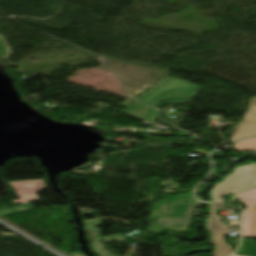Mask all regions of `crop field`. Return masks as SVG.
Instances as JSON below:
<instances>
[{
  "instance_id": "obj_1",
  "label": "crop field",
  "mask_w": 256,
  "mask_h": 256,
  "mask_svg": "<svg viewBox=\"0 0 256 256\" xmlns=\"http://www.w3.org/2000/svg\"><path fill=\"white\" fill-rule=\"evenodd\" d=\"M256 188V163L248 166L236 168L234 173L227 176L221 183L215 185L210 196L211 201H223L224 196L234 193L236 194Z\"/></svg>"
},
{
  "instance_id": "obj_4",
  "label": "crop field",
  "mask_w": 256,
  "mask_h": 256,
  "mask_svg": "<svg viewBox=\"0 0 256 256\" xmlns=\"http://www.w3.org/2000/svg\"><path fill=\"white\" fill-rule=\"evenodd\" d=\"M237 199L241 200L246 206L242 222V237L256 238V189L237 195Z\"/></svg>"
},
{
  "instance_id": "obj_2",
  "label": "crop field",
  "mask_w": 256,
  "mask_h": 256,
  "mask_svg": "<svg viewBox=\"0 0 256 256\" xmlns=\"http://www.w3.org/2000/svg\"><path fill=\"white\" fill-rule=\"evenodd\" d=\"M198 87L183 80L168 78L144 95L139 101L150 106L162 97H181L196 95Z\"/></svg>"
},
{
  "instance_id": "obj_15",
  "label": "crop field",
  "mask_w": 256,
  "mask_h": 256,
  "mask_svg": "<svg viewBox=\"0 0 256 256\" xmlns=\"http://www.w3.org/2000/svg\"><path fill=\"white\" fill-rule=\"evenodd\" d=\"M69 256H84V255H82V254L79 253V252H75V253H73V254H71V255H69Z\"/></svg>"
},
{
  "instance_id": "obj_3",
  "label": "crop field",
  "mask_w": 256,
  "mask_h": 256,
  "mask_svg": "<svg viewBox=\"0 0 256 256\" xmlns=\"http://www.w3.org/2000/svg\"><path fill=\"white\" fill-rule=\"evenodd\" d=\"M210 216L206 222L207 229L211 233V240L215 245L214 256H230V245L225 243L224 234L228 232L227 225H221L219 217L215 216V209H224V204H208Z\"/></svg>"
},
{
  "instance_id": "obj_10",
  "label": "crop field",
  "mask_w": 256,
  "mask_h": 256,
  "mask_svg": "<svg viewBox=\"0 0 256 256\" xmlns=\"http://www.w3.org/2000/svg\"><path fill=\"white\" fill-rule=\"evenodd\" d=\"M237 254L246 256H256V246L242 243Z\"/></svg>"
},
{
  "instance_id": "obj_7",
  "label": "crop field",
  "mask_w": 256,
  "mask_h": 256,
  "mask_svg": "<svg viewBox=\"0 0 256 256\" xmlns=\"http://www.w3.org/2000/svg\"><path fill=\"white\" fill-rule=\"evenodd\" d=\"M88 235H89V239L92 243L93 246V250L94 252H96L98 255L100 256H112L109 253L112 252H105L104 249H107L106 247H104L103 245H101L100 241H114V240H120V241H126L125 237L122 235H115V236H110V238H105V239H100L98 238V234H97V230H92V231H87ZM115 252V251H113ZM115 256V255H114Z\"/></svg>"
},
{
  "instance_id": "obj_13",
  "label": "crop field",
  "mask_w": 256,
  "mask_h": 256,
  "mask_svg": "<svg viewBox=\"0 0 256 256\" xmlns=\"http://www.w3.org/2000/svg\"><path fill=\"white\" fill-rule=\"evenodd\" d=\"M84 222H85L86 229H88V230L97 229L96 226L102 225L100 219L89 220V221H84Z\"/></svg>"
},
{
  "instance_id": "obj_8",
  "label": "crop field",
  "mask_w": 256,
  "mask_h": 256,
  "mask_svg": "<svg viewBox=\"0 0 256 256\" xmlns=\"http://www.w3.org/2000/svg\"><path fill=\"white\" fill-rule=\"evenodd\" d=\"M150 109L149 106L136 101L125 113L140 120Z\"/></svg>"
},
{
  "instance_id": "obj_6",
  "label": "crop field",
  "mask_w": 256,
  "mask_h": 256,
  "mask_svg": "<svg viewBox=\"0 0 256 256\" xmlns=\"http://www.w3.org/2000/svg\"><path fill=\"white\" fill-rule=\"evenodd\" d=\"M256 135V97L251 98L250 106L241 121L232 141Z\"/></svg>"
},
{
  "instance_id": "obj_12",
  "label": "crop field",
  "mask_w": 256,
  "mask_h": 256,
  "mask_svg": "<svg viewBox=\"0 0 256 256\" xmlns=\"http://www.w3.org/2000/svg\"><path fill=\"white\" fill-rule=\"evenodd\" d=\"M157 117V112L153 109H151L141 120L154 123L155 119Z\"/></svg>"
},
{
  "instance_id": "obj_11",
  "label": "crop field",
  "mask_w": 256,
  "mask_h": 256,
  "mask_svg": "<svg viewBox=\"0 0 256 256\" xmlns=\"http://www.w3.org/2000/svg\"><path fill=\"white\" fill-rule=\"evenodd\" d=\"M193 97L194 96H191V97H181V98H165V99H162L161 101H159L158 104L155 105V108L158 109L162 105V103H169V104L186 103V102H188Z\"/></svg>"
},
{
  "instance_id": "obj_14",
  "label": "crop field",
  "mask_w": 256,
  "mask_h": 256,
  "mask_svg": "<svg viewBox=\"0 0 256 256\" xmlns=\"http://www.w3.org/2000/svg\"><path fill=\"white\" fill-rule=\"evenodd\" d=\"M8 55V51L0 38V57L4 58Z\"/></svg>"
},
{
  "instance_id": "obj_9",
  "label": "crop field",
  "mask_w": 256,
  "mask_h": 256,
  "mask_svg": "<svg viewBox=\"0 0 256 256\" xmlns=\"http://www.w3.org/2000/svg\"><path fill=\"white\" fill-rule=\"evenodd\" d=\"M237 151L255 150L256 151V138L248 141L239 142L233 146Z\"/></svg>"
},
{
  "instance_id": "obj_5",
  "label": "crop field",
  "mask_w": 256,
  "mask_h": 256,
  "mask_svg": "<svg viewBox=\"0 0 256 256\" xmlns=\"http://www.w3.org/2000/svg\"><path fill=\"white\" fill-rule=\"evenodd\" d=\"M20 196L21 200L12 201L14 205L39 200L36 193L46 189L44 181H26L10 183Z\"/></svg>"
}]
</instances>
